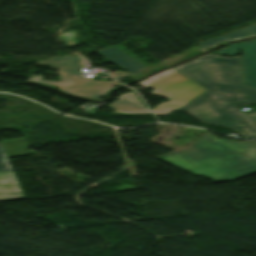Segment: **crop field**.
<instances>
[{
  "label": "crop field",
  "instance_id": "8a807250",
  "mask_svg": "<svg viewBox=\"0 0 256 256\" xmlns=\"http://www.w3.org/2000/svg\"><path fill=\"white\" fill-rule=\"evenodd\" d=\"M174 69L208 89L180 110L202 123L231 128L247 139L256 138V113L246 115L234 107L256 103V90L243 86L240 56L206 54Z\"/></svg>",
  "mask_w": 256,
  "mask_h": 256
},
{
  "label": "crop field",
  "instance_id": "ac0d7876",
  "mask_svg": "<svg viewBox=\"0 0 256 256\" xmlns=\"http://www.w3.org/2000/svg\"><path fill=\"white\" fill-rule=\"evenodd\" d=\"M157 158L215 182L227 181L256 172V142L226 141L205 132L190 147Z\"/></svg>",
  "mask_w": 256,
  "mask_h": 256
},
{
  "label": "crop field",
  "instance_id": "34b2d1b8",
  "mask_svg": "<svg viewBox=\"0 0 256 256\" xmlns=\"http://www.w3.org/2000/svg\"><path fill=\"white\" fill-rule=\"evenodd\" d=\"M39 63L53 65L52 68L59 69L61 80L59 82H50L41 80L42 76H32L30 81L55 85L59 90L70 94L91 99H101L106 93L119 84L114 80H112V82L93 81V78L81 77L80 56L61 57Z\"/></svg>",
  "mask_w": 256,
  "mask_h": 256
},
{
  "label": "crop field",
  "instance_id": "412701ff",
  "mask_svg": "<svg viewBox=\"0 0 256 256\" xmlns=\"http://www.w3.org/2000/svg\"><path fill=\"white\" fill-rule=\"evenodd\" d=\"M155 76L140 83L155 89L152 93L171 100L152 109L153 113L157 115H166L205 91V88L195 84L173 68Z\"/></svg>",
  "mask_w": 256,
  "mask_h": 256
},
{
  "label": "crop field",
  "instance_id": "f4fd0767",
  "mask_svg": "<svg viewBox=\"0 0 256 256\" xmlns=\"http://www.w3.org/2000/svg\"><path fill=\"white\" fill-rule=\"evenodd\" d=\"M243 49V69L245 85L256 88V39L250 42L234 43L229 47L219 50V53L234 55L238 48Z\"/></svg>",
  "mask_w": 256,
  "mask_h": 256
},
{
  "label": "crop field",
  "instance_id": "dd49c442",
  "mask_svg": "<svg viewBox=\"0 0 256 256\" xmlns=\"http://www.w3.org/2000/svg\"><path fill=\"white\" fill-rule=\"evenodd\" d=\"M100 54L107 57L117 65L127 70L130 74H135L146 67L140 64L138 61L122 52L115 46H111L105 49L97 50Z\"/></svg>",
  "mask_w": 256,
  "mask_h": 256
},
{
  "label": "crop field",
  "instance_id": "e52e79f7",
  "mask_svg": "<svg viewBox=\"0 0 256 256\" xmlns=\"http://www.w3.org/2000/svg\"><path fill=\"white\" fill-rule=\"evenodd\" d=\"M25 199L13 172H0V201Z\"/></svg>",
  "mask_w": 256,
  "mask_h": 256
},
{
  "label": "crop field",
  "instance_id": "d8731c3e",
  "mask_svg": "<svg viewBox=\"0 0 256 256\" xmlns=\"http://www.w3.org/2000/svg\"><path fill=\"white\" fill-rule=\"evenodd\" d=\"M108 107L112 111L120 113H150L149 109L143 108L132 93L119 96L118 100Z\"/></svg>",
  "mask_w": 256,
  "mask_h": 256
},
{
  "label": "crop field",
  "instance_id": "5a996713",
  "mask_svg": "<svg viewBox=\"0 0 256 256\" xmlns=\"http://www.w3.org/2000/svg\"><path fill=\"white\" fill-rule=\"evenodd\" d=\"M254 35H256V25L200 43V45H202L205 48H209L222 41L234 40V39H239V38H244V37H249Z\"/></svg>",
  "mask_w": 256,
  "mask_h": 256
},
{
  "label": "crop field",
  "instance_id": "3316defc",
  "mask_svg": "<svg viewBox=\"0 0 256 256\" xmlns=\"http://www.w3.org/2000/svg\"><path fill=\"white\" fill-rule=\"evenodd\" d=\"M2 143L8 156L35 153L34 150L26 149L30 146L26 138L5 140Z\"/></svg>",
  "mask_w": 256,
  "mask_h": 256
},
{
  "label": "crop field",
  "instance_id": "28ad6ade",
  "mask_svg": "<svg viewBox=\"0 0 256 256\" xmlns=\"http://www.w3.org/2000/svg\"><path fill=\"white\" fill-rule=\"evenodd\" d=\"M0 171H13L2 143H0Z\"/></svg>",
  "mask_w": 256,
  "mask_h": 256
},
{
  "label": "crop field",
  "instance_id": "d1516ede",
  "mask_svg": "<svg viewBox=\"0 0 256 256\" xmlns=\"http://www.w3.org/2000/svg\"><path fill=\"white\" fill-rule=\"evenodd\" d=\"M60 39L64 42L66 47H72L76 44H78V41L76 39L75 31H71L69 33L59 35Z\"/></svg>",
  "mask_w": 256,
  "mask_h": 256
},
{
  "label": "crop field",
  "instance_id": "22f410ed",
  "mask_svg": "<svg viewBox=\"0 0 256 256\" xmlns=\"http://www.w3.org/2000/svg\"><path fill=\"white\" fill-rule=\"evenodd\" d=\"M111 77L115 78L116 80L120 81V79L126 75V73L114 72L110 73Z\"/></svg>",
  "mask_w": 256,
  "mask_h": 256
}]
</instances>
